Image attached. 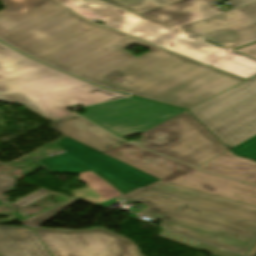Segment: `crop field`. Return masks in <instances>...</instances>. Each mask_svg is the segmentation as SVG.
<instances>
[{
  "instance_id": "crop-field-12",
  "label": "crop field",
  "mask_w": 256,
  "mask_h": 256,
  "mask_svg": "<svg viewBox=\"0 0 256 256\" xmlns=\"http://www.w3.org/2000/svg\"><path fill=\"white\" fill-rule=\"evenodd\" d=\"M51 124L53 130L78 140L102 153L123 143L122 140L78 116L51 122Z\"/></svg>"
},
{
  "instance_id": "crop-field-13",
  "label": "crop field",
  "mask_w": 256,
  "mask_h": 256,
  "mask_svg": "<svg viewBox=\"0 0 256 256\" xmlns=\"http://www.w3.org/2000/svg\"><path fill=\"white\" fill-rule=\"evenodd\" d=\"M1 256H51L33 230L0 226Z\"/></svg>"
},
{
  "instance_id": "crop-field-7",
  "label": "crop field",
  "mask_w": 256,
  "mask_h": 256,
  "mask_svg": "<svg viewBox=\"0 0 256 256\" xmlns=\"http://www.w3.org/2000/svg\"><path fill=\"white\" fill-rule=\"evenodd\" d=\"M131 142L195 167L228 150L188 111Z\"/></svg>"
},
{
  "instance_id": "crop-field-3",
  "label": "crop field",
  "mask_w": 256,
  "mask_h": 256,
  "mask_svg": "<svg viewBox=\"0 0 256 256\" xmlns=\"http://www.w3.org/2000/svg\"><path fill=\"white\" fill-rule=\"evenodd\" d=\"M128 95L108 91L40 64L0 42V100L25 104L58 119L74 113L65 108Z\"/></svg>"
},
{
  "instance_id": "crop-field-20",
  "label": "crop field",
  "mask_w": 256,
  "mask_h": 256,
  "mask_svg": "<svg viewBox=\"0 0 256 256\" xmlns=\"http://www.w3.org/2000/svg\"><path fill=\"white\" fill-rule=\"evenodd\" d=\"M236 155L256 160V136L231 149Z\"/></svg>"
},
{
  "instance_id": "crop-field-5",
  "label": "crop field",
  "mask_w": 256,
  "mask_h": 256,
  "mask_svg": "<svg viewBox=\"0 0 256 256\" xmlns=\"http://www.w3.org/2000/svg\"><path fill=\"white\" fill-rule=\"evenodd\" d=\"M106 154L161 181L256 206V186L208 174L127 142Z\"/></svg>"
},
{
  "instance_id": "crop-field-15",
  "label": "crop field",
  "mask_w": 256,
  "mask_h": 256,
  "mask_svg": "<svg viewBox=\"0 0 256 256\" xmlns=\"http://www.w3.org/2000/svg\"><path fill=\"white\" fill-rule=\"evenodd\" d=\"M77 179L88 186L72 190V193L74 197L86 202L98 205L116 196L122 195L119 191L91 171L81 173L80 177Z\"/></svg>"
},
{
  "instance_id": "crop-field-18",
  "label": "crop field",
  "mask_w": 256,
  "mask_h": 256,
  "mask_svg": "<svg viewBox=\"0 0 256 256\" xmlns=\"http://www.w3.org/2000/svg\"><path fill=\"white\" fill-rule=\"evenodd\" d=\"M138 14L182 0H104Z\"/></svg>"
},
{
  "instance_id": "crop-field-4",
  "label": "crop field",
  "mask_w": 256,
  "mask_h": 256,
  "mask_svg": "<svg viewBox=\"0 0 256 256\" xmlns=\"http://www.w3.org/2000/svg\"><path fill=\"white\" fill-rule=\"evenodd\" d=\"M58 1L85 18H99L106 26L200 62L244 78L256 74V60L252 58L214 46L101 0Z\"/></svg>"
},
{
  "instance_id": "crop-field-2",
  "label": "crop field",
  "mask_w": 256,
  "mask_h": 256,
  "mask_svg": "<svg viewBox=\"0 0 256 256\" xmlns=\"http://www.w3.org/2000/svg\"><path fill=\"white\" fill-rule=\"evenodd\" d=\"M58 144L66 153L38 160L50 173L92 170L168 230L242 255L256 244V207L161 182L66 136Z\"/></svg>"
},
{
  "instance_id": "crop-field-19",
  "label": "crop field",
  "mask_w": 256,
  "mask_h": 256,
  "mask_svg": "<svg viewBox=\"0 0 256 256\" xmlns=\"http://www.w3.org/2000/svg\"><path fill=\"white\" fill-rule=\"evenodd\" d=\"M160 237L172 240L174 242L198 249L200 251H203V252L215 255V256H239V255H236V254L224 251L222 249H219V248H216V247L183 237L181 235H178V234H175V233L163 230V229H161Z\"/></svg>"
},
{
  "instance_id": "crop-field-16",
  "label": "crop field",
  "mask_w": 256,
  "mask_h": 256,
  "mask_svg": "<svg viewBox=\"0 0 256 256\" xmlns=\"http://www.w3.org/2000/svg\"><path fill=\"white\" fill-rule=\"evenodd\" d=\"M16 185L14 178L6 176L4 174L0 173V203H5L6 205L10 203L8 200H6L3 196V193L14 190V186ZM51 191L46 190L42 188L41 190L15 202L10 205L9 207L13 209H18L22 207H26L33 202L39 200L40 198L48 195Z\"/></svg>"
},
{
  "instance_id": "crop-field-6",
  "label": "crop field",
  "mask_w": 256,
  "mask_h": 256,
  "mask_svg": "<svg viewBox=\"0 0 256 256\" xmlns=\"http://www.w3.org/2000/svg\"><path fill=\"white\" fill-rule=\"evenodd\" d=\"M189 111L229 148L240 144L256 135V77Z\"/></svg>"
},
{
  "instance_id": "crop-field-8",
  "label": "crop field",
  "mask_w": 256,
  "mask_h": 256,
  "mask_svg": "<svg viewBox=\"0 0 256 256\" xmlns=\"http://www.w3.org/2000/svg\"><path fill=\"white\" fill-rule=\"evenodd\" d=\"M84 109L83 117L121 138L144 132L185 111L134 97Z\"/></svg>"
},
{
  "instance_id": "crop-field-9",
  "label": "crop field",
  "mask_w": 256,
  "mask_h": 256,
  "mask_svg": "<svg viewBox=\"0 0 256 256\" xmlns=\"http://www.w3.org/2000/svg\"><path fill=\"white\" fill-rule=\"evenodd\" d=\"M53 256H142L130 239L103 228L78 231L39 228Z\"/></svg>"
},
{
  "instance_id": "crop-field-21",
  "label": "crop field",
  "mask_w": 256,
  "mask_h": 256,
  "mask_svg": "<svg viewBox=\"0 0 256 256\" xmlns=\"http://www.w3.org/2000/svg\"><path fill=\"white\" fill-rule=\"evenodd\" d=\"M245 18L256 24V3L235 9Z\"/></svg>"
},
{
  "instance_id": "crop-field-14",
  "label": "crop field",
  "mask_w": 256,
  "mask_h": 256,
  "mask_svg": "<svg viewBox=\"0 0 256 256\" xmlns=\"http://www.w3.org/2000/svg\"><path fill=\"white\" fill-rule=\"evenodd\" d=\"M198 168L210 173L256 184V162L239 158L229 151Z\"/></svg>"
},
{
  "instance_id": "crop-field-22",
  "label": "crop field",
  "mask_w": 256,
  "mask_h": 256,
  "mask_svg": "<svg viewBox=\"0 0 256 256\" xmlns=\"http://www.w3.org/2000/svg\"><path fill=\"white\" fill-rule=\"evenodd\" d=\"M234 51L256 59V43Z\"/></svg>"
},
{
  "instance_id": "crop-field-11",
  "label": "crop field",
  "mask_w": 256,
  "mask_h": 256,
  "mask_svg": "<svg viewBox=\"0 0 256 256\" xmlns=\"http://www.w3.org/2000/svg\"><path fill=\"white\" fill-rule=\"evenodd\" d=\"M212 1L185 0L141 15L177 28L234 9L223 11Z\"/></svg>"
},
{
  "instance_id": "crop-field-1",
  "label": "crop field",
  "mask_w": 256,
  "mask_h": 256,
  "mask_svg": "<svg viewBox=\"0 0 256 256\" xmlns=\"http://www.w3.org/2000/svg\"><path fill=\"white\" fill-rule=\"evenodd\" d=\"M0 39L60 69L134 96L189 109L242 82L86 21L54 0H0ZM150 52L136 58L124 49Z\"/></svg>"
},
{
  "instance_id": "crop-field-23",
  "label": "crop field",
  "mask_w": 256,
  "mask_h": 256,
  "mask_svg": "<svg viewBox=\"0 0 256 256\" xmlns=\"http://www.w3.org/2000/svg\"><path fill=\"white\" fill-rule=\"evenodd\" d=\"M228 1L232 2V7H235V8L256 2V0H228Z\"/></svg>"
},
{
  "instance_id": "crop-field-24",
  "label": "crop field",
  "mask_w": 256,
  "mask_h": 256,
  "mask_svg": "<svg viewBox=\"0 0 256 256\" xmlns=\"http://www.w3.org/2000/svg\"><path fill=\"white\" fill-rule=\"evenodd\" d=\"M247 256H256V246L247 254Z\"/></svg>"
},
{
  "instance_id": "crop-field-17",
  "label": "crop field",
  "mask_w": 256,
  "mask_h": 256,
  "mask_svg": "<svg viewBox=\"0 0 256 256\" xmlns=\"http://www.w3.org/2000/svg\"><path fill=\"white\" fill-rule=\"evenodd\" d=\"M78 200L73 198L69 199L65 203L60 206H55L53 208H48L38 215L33 214L25 219H23L19 214L14 213L15 210L12 211V215L15 219H17L24 227H34L39 228L41 225L76 203Z\"/></svg>"
},
{
  "instance_id": "crop-field-10",
  "label": "crop field",
  "mask_w": 256,
  "mask_h": 256,
  "mask_svg": "<svg viewBox=\"0 0 256 256\" xmlns=\"http://www.w3.org/2000/svg\"><path fill=\"white\" fill-rule=\"evenodd\" d=\"M177 29L229 49L256 42V25L234 10Z\"/></svg>"
}]
</instances>
